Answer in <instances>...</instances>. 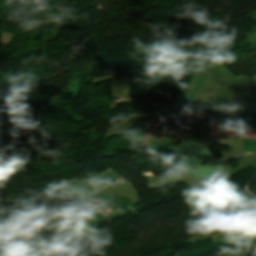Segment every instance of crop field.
Listing matches in <instances>:
<instances>
[{"label": "crop field", "mask_w": 256, "mask_h": 256, "mask_svg": "<svg viewBox=\"0 0 256 256\" xmlns=\"http://www.w3.org/2000/svg\"><path fill=\"white\" fill-rule=\"evenodd\" d=\"M244 148H245V151L256 152V141L244 138ZM246 153L249 154L250 152H246Z\"/></svg>", "instance_id": "crop-field-1"}, {"label": "crop field", "mask_w": 256, "mask_h": 256, "mask_svg": "<svg viewBox=\"0 0 256 256\" xmlns=\"http://www.w3.org/2000/svg\"><path fill=\"white\" fill-rule=\"evenodd\" d=\"M186 106V105H185Z\"/></svg>", "instance_id": "crop-field-2"}]
</instances>
